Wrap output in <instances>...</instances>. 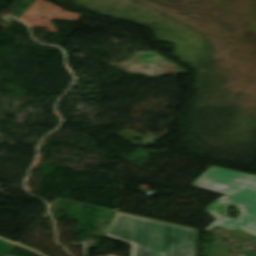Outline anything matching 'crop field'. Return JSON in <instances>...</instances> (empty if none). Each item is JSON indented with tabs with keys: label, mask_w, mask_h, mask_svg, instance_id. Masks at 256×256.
I'll use <instances>...</instances> for the list:
<instances>
[{
	"label": "crop field",
	"mask_w": 256,
	"mask_h": 256,
	"mask_svg": "<svg viewBox=\"0 0 256 256\" xmlns=\"http://www.w3.org/2000/svg\"><path fill=\"white\" fill-rule=\"evenodd\" d=\"M197 233L196 229L118 212L105 230L107 238L131 245L130 256H196Z\"/></svg>",
	"instance_id": "8a807250"
},
{
	"label": "crop field",
	"mask_w": 256,
	"mask_h": 256,
	"mask_svg": "<svg viewBox=\"0 0 256 256\" xmlns=\"http://www.w3.org/2000/svg\"><path fill=\"white\" fill-rule=\"evenodd\" d=\"M190 186L223 194L208 205L205 212L216 220L204 231L213 226L226 229H241L256 235V216L239 212L238 219L228 218L227 207L237 206L238 210L256 214V177L218 167H210Z\"/></svg>",
	"instance_id": "ac0d7876"
},
{
	"label": "crop field",
	"mask_w": 256,
	"mask_h": 256,
	"mask_svg": "<svg viewBox=\"0 0 256 256\" xmlns=\"http://www.w3.org/2000/svg\"><path fill=\"white\" fill-rule=\"evenodd\" d=\"M13 244L0 240V256H3Z\"/></svg>",
	"instance_id": "34b2d1b8"
},
{
	"label": "crop field",
	"mask_w": 256,
	"mask_h": 256,
	"mask_svg": "<svg viewBox=\"0 0 256 256\" xmlns=\"http://www.w3.org/2000/svg\"><path fill=\"white\" fill-rule=\"evenodd\" d=\"M9 256H14V255H9Z\"/></svg>",
	"instance_id": "412701ff"
}]
</instances>
